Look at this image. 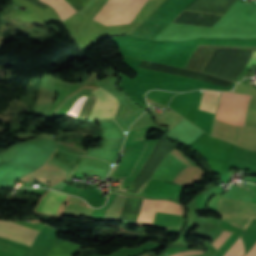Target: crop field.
Instances as JSON below:
<instances>
[{
  "instance_id": "d8731c3e",
  "label": "crop field",
  "mask_w": 256,
  "mask_h": 256,
  "mask_svg": "<svg viewBox=\"0 0 256 256\" xmlns=\"http://www.w3.org/2000/svg\"><path fill=\"white\" fill-rule=\"evenodd\" d=\"M182 170V168L165 157L154 171L151 178L167 180L171 182Z\"/></svg>"
},
{
  "instance_id": "dd49c442",
  "label": "crop field",
  "mask_w": 256,
  "mask_h": 256,
  "mask_svg": "<svg viewBox=\"0 0 256 256\" xmlns=\"http://www.w3.org/2000/svg\"><path fill=\"white\" fill-rule=\"evenodd\" d=\"M93 93L96 97V102L90 118H113V115L118 107L116 100L108 92L101 88Z\"/></svg>"
},
{
  "instance_id": "22f410ed",
  "label": "crop field",
  "mask_w": 256,
  "mask_h": 256,
  "mask_svg": "<svg viewBox=\"0 0 256 256\" xmlns=\"http://www.w3.org/2000/svg\"><path fill=\"white\" fill-rule=\"evenodd\" d=\"M204 251H193L190 249L179 251L173 254H170L168 256H189V255H198V254H203Z\"/></svg>"
},
{
  "instance_id": "ac0d7876",
  "label": "crop field",
  "mask_w": 256,
  "mask_h": 256,
  "mask_svg": "<svg viewBox=\"0 0 256 256\" xmlns=\"http://www.w3.org/2000/svg\"><path fill=\"white\" fill-rule=\"evenodd\" d=\"M221 220L245 230L252 218H256V204L221 198L217 207Z\"/></svg>"
},
{
  "instance_id": "8a807250",
  "label": "crop field",
  "mask_w": 256,
  "mask_h": 256,
  "mask_svg": "<svg viewBox=\"0 0 256 256\" xmlns=\"http://www.w3.org/2000/svg\"><path fill=\"white\" fill-rule=\"evenodd\" d=\"M148 0H109L94 20L105 25L131 23Z\"/></svg>"
},
{
  "instance_id": "34b2d1b8",
  "label": "crop field",
  "mask_w": 256,
  "mask_h": 256,
  "mask_svg": "<svg viewBox=\"0 0 256 256\" xmlns=\"http://www.w3.org/2000/svg\"><path fill=\"white\" fill-rule=\"evenodd\" d=\"M155 211L181 214L178 204L166 200L144 199L137 222L152 225Z\"/></svg>"
},
{
  "instance_id": "f4fd0767",
  "label": "crop field",
  "mask_w": 256,
  "mask_h": 256,
  "mask_svg": "<svg viewBox=\"0 0 256 256\" xmlns=\"http://www.w3.org/2000/svg\"><path fill=\"white\" fill-rule=\"evenodd\" d=\"M242 96L243 95L222 92L216 118L235 125Z\"/></svg>"
},
{
  "instance_id": "d1516ede",
  "label": "crop field",
  "mask_w": 256,
  "mask_h": 256,
  "mask_svg": "<svg viewBox=\"0 0 256 256\" xmlns=\"http://www.w3.org/2000/svg\"><path fill=\"white\" fill-rule=\"evenodd\" d=\"M86 97L82 96L81 98H79L71 107V109L67 112L66 115L68 116H74L76 117L77 114L79 113L84 101H85Z\"/></svg>"
},
{
  "instance_id": "28ad6ade",
  "label": "crop field",
  "mask_w": 256,
  "mask_h": 256,
  "mask_svg": "<svg viewBox=\"0 0 256 256\" xmlns=\"http://www.w3.org/2000/svg\"><path fill=\"white\" fill-rule=\"evenodd\" d=\"M125 199L126 197L117 194L113 202L108 207L104 219H119Z\"/></svg>"
},
{
  "instance_id": "3316defc",
  "label": "crop field",
  "mask_w": 256,
  "mask_h": 256,
  "mask_svg": "<svg viewBox=\"0 0 256 256\" xmlns=\"http://www.w3.org/2000/svg\"><path fill=\"white\" fill-rule=\"evenodd\" d=\"M229 235H230L229 233H226L223 231L212 243L213 247L217 250L226 241ZM243 252H244V248H243L242 239L240 237L224 256H242Z\"/></svg>"
},
{
  "instance_id": "412701ff",
  "label": "crop field",
  "mask_w": 256,
  "mask_h": 256,
  "mask_svg": "<svg viewBox=\"0 0 256 256\" xmlns=\"http://www.w3.org/2000/svg\"><path fill=\"white\" fill-rule=\"evenodd\" d=\"M216 49L256 50V47L198 45L185 67L203 71Z\"/></svg>"
},
{
  "instance_id": "e52e79f7",
  "label": "crop field",
  "mask_w": 256,
  "mask_h": 256,
  "mask_svg": "<svg viewBox=\"0 0 256 256\" xmlns=\"http://www.w3.org/2000/svg\"><path fill=\"white\" fill-rule=\"evenodd\" d=\"M0 223L23 230V231H26V232H29V233H32V234H35V235H37V233H38V231L29 229L26 227H22V226H19V225L10 223V222L0 221ZM1 224H0V236H3L5 238L11 239V240H14V241H17V242H20L22 244L29 246L31 241L35 237V235L29 234V233H26V232H23V231H20V230L11 228V227H7V226L1 225Z\"/></svg>"
},
{
  "instance_id": "cbeb9de0",
  "label": "crop field",
  "mask_w": 256,
  "mask_h": 256,
  "mask_svg": "<svg viewBox=\"0 0 256 256\" xmlns=\"http://www.w3.org/2000/svg\"><path fill=\"white\" fill-rule=\"evenodd\" d=\"M183 11H184V10H183ZM183 11H182V12H183ZM188 11H189V10H188ZM182 12H181V13H182ZM196 12H197V11H196ZM181 13H180V14H181ZM180 14H179V15H180ZM179 15H178V16H179ZM178 16H177V17H178ZM177 17H176V18H177ZM176 18H175V19H176ZM175 19H174V20H175ZM174 20H173V21H174ZM173 21H172V22H173Z\"/></svg>"
},
{
  "instance_id": "5a996713",
  "label": "crop field",
  "mask_w": 256,
  "mask_h": 256,
  "mask_svg": "<svg viewBox=\"0 0 256 256\" xmlns=\"http://www.w3.org/2000/svg\"><path fill=\"white\" fill-rule=\"evenodd\" d=\"M65 197V194L50 190L41 200L36 210L56 214Z\"/></svg>"
}]
</instances>
